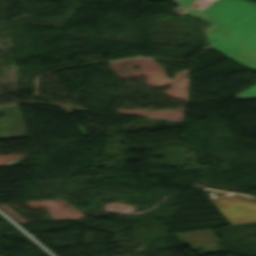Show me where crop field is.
<instances>
[{
    "label": "crop field",
    "mask_w": 256,
    "mask_h": 256,
    "mask_svg": "<svg viewBox=\"0 0 256 256\" xmlns=\"http://www.w3.org/2000/svg\"><path fill=\"white\" fill-rule=\"evenodd\" d=\"M231 225L256 222V201L236 195L212 199Z\"/></svg>",
    "instance_id": "2"
},
{
    "label": "crop field",
    "mask_w": 256,
    "mask_h": 256,
    "mask_svg": "<svg viewBox=\"0 0 256 256\" xmlns=\"http://www.w3.org/2000/svg\"><path fill=\"white\" fill-rule=\"evenodd\" d=\"M24 154H17V155H0V166L2 165H6L10 162H12L13 160L19 158L20 156H22Z\"/></svg>",
    "instance_id": "3"
},
{
    "label": "crop field",
    "mask_w": 256,
    "mask_h": 256,
    "mask_svg": "<svg viewBox=\"0 0 256 256\" xmlns=\"http://www.w3.org/2000/svg\"><path fill=\"white\" fill-rule=\"evenodd\" d=\"M181 11L211 23L205 29L210 46L228 58L256 69V3L247 0H216L206 8H193L196 0H174ZM256 96V85L238 97Z\"/></svg>",
    "instance_id": "1"
}]
</instances>
